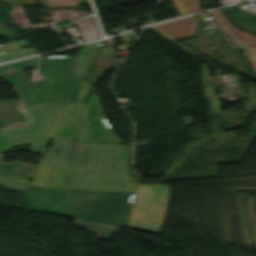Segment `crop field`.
I'll return each mask as SVG.
<instances>
[{
  "mask_svg": "<svg viewBox=\"0 0 256 256\" xmlns=\"http://www.w3.org/2000/svg\"><path fill=\"white\" fill-rule=\"evenodd\" d=\"M76 225H82L87 229L96 232L100 238L108 240L111 235L120 227L102 225L74 219ZM97 235V236H98Z\"/></svg>",
  "mask_w": 256,
  "mask_h": 256,
  "instance_id": "cbeb9de0",
  "label": "crop field"
},
{
  "mask_svg": "<svg viewBox=\"0 0 256 256\" xmlns=\"http://www.w3.org/2000/svg\"><path fill=\"white\" fill-rule=\"evenodd\" d=\"M256 1V0H255Z\"/></svg>",
  "mask_w": 256,
  "mask_h": 256,
  "instance_id": "a9b5d70f",
  "label": "crop field"
},
{
  "mask_svg": "<svg viewBox=\"0 0 256 256\" xmlns=\"http://www.w3.org/2000/svg\"><path fill=\"white\" fill-rule=\"evenodd\" d=\"M211 13L215 17L219 25L224 29V31L233 39V41L237 45H240V44L256 45V36L240 31L237 28H235L220 11H215Z\"/></svg>",
  "mask_w": 256,
  "mask_h": 256,
  "instance_id": "3316defc",
  "label": "crop field"
},
{
  "mask_svg": "<svg viewBox=\"0 0 256 256\" xmlns=\"http://www.w3.org/2000/svg\"><path fill=\"white\" fill-rule=\"evenodd\" d=\"M34 167L20 161L3 163L0 164V178L26 184Z\"/></svg>",
  "mask_w": 256,
  "mask_h": 256,
  "instance_id": "5a996713",
  "label": "crop field"
},
{
  "mask_svg": "<svg viewBox=\"0 0 256 256\" xmlns=\"http://www.w3.org/2000/svg\"><path fill=\"white\" fill-rule=\"evenodd\" d=\"M180 16L198 11L199 0H171Z\"/></svg>",
  "mask_w": 256,
  "mask_h": 256,
  "instance_id": "733c2abd",
  "label": "crop field"
},
{
  "mask_svg": "<svg viewBox=\"0 0 256 256\" xmlns=\"http://www.w3.org/2000/svg\"><path fill=\"white\" fill-rule=\"evenodd\" d=\"M170 186L139 185L128 227L160 233Z\"/></svg>",
  "mask_w": 256,
  "mask_h": 256,
  "instance_id": "f4fd0767",
  "label": "crop field"
},
{
  "mask_svg": "<svg viewBox=\"0 0 256 256\" xmlns=\"http://www.w3.org/2000/svg\"><path fill=\"white\" fill-rule=\"evenodd\" d=\"M0 185L5 186V187H9V188H13L15 190H22V191L25 188V186H23V185L7 182V181H3V180H0Z\"/></svg>",
  "mask_w": 256,
  "mask_h": 256,
  "instance_id": "214f88e0",
  "label": "crop field"
},
{
  "mask_svg": "<svg viewBox=\"0 0 256 256\" xmlns=\"http://www.w3.org/2000/svg\"><path fill=\"white\" fill-rule=\"evenodd\" d=\"M195 26L196 20L194 15L149 27L168 36L171 39H177L195 35Z\"/></svg>",
  "mask_w": 256,
  "mask_h": 256,
  "instance_id": "d8731c3e",
  "label": "crop field"
},
{
  "mask_svg": "<svg viewBox=\"0 0 256 256\" xmlns=\"http://www.w3.org/2000/svg\"><path fill=\"white\" fill-rule=\"evenodd\" d=\"M226 9L242 27L256 32V24L254 23L252 14L249 10L236 11L233 6L227 7Z\"/></svg>",
  "mask_w": 256,
  "mask_h": 256,
  "instance_id": "5142ce71",
  "label": "crop field"
},
{
  "mask_svg": "<svg viewBox=\"0 0 256 256\" xmlns=\"http://www.w3.org/2000/svg\"><path fill=\"white\" fill-rule=\"evenodd\" d=\"M71 141L53 139V146L41 156L26 185L62 188L69 167L65 188L134 191L136 182L126 166V146L74 141L67 166Z\"/></svg>",
  "mask_w": 256,
  "mask_h": 256,
  "instance_id": "8a807250",
  "label": "crop field"
},
{
  "mask_svg": "<svg viewBox=\"0 0 256 256\" xmlns=\"http://www.w3.org/2000/svg\"><path fill=\"white\" fill-rule=\"evenodd\" d=\"M75 56L39 57V81L26 80L23 72L3 75L21 92L25 108L72 98L81 79L72 77ZM23 102V103H24Z\"/></svg>",
  "mask_w": 256,
  "mask_h": 256,
  "instance_id": "ac0d7876",
  "label": "crop field"
},
{
  "mask_svg": "<svg viewBox=\"0 0 256 256\" xmlns=\"http://www.w3.org/2000/svg\"><path fill=\"white\" fill-rule=\"evenodd\" d=\"M27 108L26 115L30 123L0 132V151L22 143H33L31 150L42 154L49 143L66 107ZM1 158V155H0Z\"/></svg>",
  "mask_w": 256,
  "mask_h": 256,
  "instance_id": "412701ff",
  "label": "crop field"
},
{
  "mask_svg": "<svg viewBox=\"0 0 256 256\" xmlns=\"http://www.w3.org/2000/svg\"><path fill=\"white\" fill-rule=\"evenodd\" d=\"M100 42L85 45L78 53L75 76L82 78Z\"/></svg>",
  "mask_w": 256,
  "mask_h": 256,
  "instance_id": "28ad6ade",
  "label": "crop field"
},
{
  "mask_svg": "<svg viewBox=\"0 0 256 256\" xmlns=\"http://www.w3.org/2000/svg\"><path fill=\"white\" fill-rule=\"evenodd\" d=\"M133 194L66 189L60 215L102 224L125 225Z\"/></svg>",
  "mask_w": 256,
  "mask_h": 256,
  "instance_id": "34b2d1b8",
  "label": "crop field"
},
{
  "mask_svg": "<svg viewBox=\"0 0 256 256\" xmlns=\"http://www.w3.org/2000/svg\"><path fill=\"white\" fill-rule=\"evenodd\" d=\"M79 87H80V89H79L78 96H77L78 100L76 101V103H72V104L68 105L62 118L76 119L79 112L81 111V109L84 105L81 102L89 88V84H88V82L82 80Z\"/></svg>",
  "mask_w": 256,
  "mask_h": 256,
  "instance_id": "22f410ed",
  "label": "crop field"
},
{
  "mask_svg": "<svg viewBox=\"0 0 256 256\" xmlns=\"http://www.w3.org/2000/svg\"><path fill=\"white\" fill-rule=\"evenodd\" d=\"M28 208L38 212L59 213L62 189L26 187L23 192Z\"/></svg>",
  "mask_w": 256,
  "mask_h": 256,
  "instance_id": "e52e79f7",
  "label": "crop field"
},
{
  "mask_svg": "<svg viewBox=\"0 0 256 256\" xmlns=\"http://www.w3.org/2000/svg\"><path fill=\"white\" fill-rule=\"evenodd\" d=\"M233 1H237V0H220L221 4H225Z\"/></svg>",
  "mask_w": 256,
  "mask_h": 256,
  "instance_id": "dafd665d",
  "label": "crop field"
},
{
  "mask_svg": "<svg viewBox=\"0 0 256 256\" xmlns=\"http://www.w3.org/2000/svg\"><path fill=\"white\" fill-rule=\"evenodd\" d=\"M37 58L38 57H33V58L1 65L0 75L35 67L37 65Z\"/></svg>",
  "mask_w": 256,
  "mask_h": 256,
  "instance_id": "d9b57169",
  "label": "crop field"
},
{
  "mask_svg": "<svg viewBox=\"0 0 256 256\" xmlns=\"http://www.w3.org/2000/svg\"><path fill=\"white\" fill-rule=\"evenodd\" d=\"M97 97L98 94L92 93L80 116L85 122L76 140L121 143L105 121Z\"/></svg>",
  "mask_w": 256,
  "mask_h": 256,
  "instance_id": "dd49c442",
  "label": "crop field"
},
{
  "mask_svg": "<svg viewBox=\"0 0 256 256\" xmlns=\"http://www.w3.org/2000/svg\"><path fill=\"white\" fill-rule=\"evenodd\" d=\"M47 7L78 6L81 0H40Z\"/></svg>",
  "mask_w": 256,
  "mask_h": 256,
  "instance_id": "4a817a6b",
  "label": "crop field"
},
{
  "mask_svg": "<svg viewBox=\"0 0 256 256\" xmlns=\"http://www.w3.org/2000/svg\"><path fill=\"white\" fill-rule=\"evenodd\" d=\"M244 56L246 57V59L250 63L254 72L256 73V47L255 46H247L244 50Z\"/></svg>",
  "mask_w": 256,
  "mask_h": 256,
  "instance_id": "bc2a9ffb",
  "label": "crop field"
},
{
  "mask_svg": "<svg viewBox=\"0 0 256 256\" xmlns=\"http://www.w3.org/2000/svg\"><path fill=\"white\" fill-rule=\"evenodd\" d=\"M82 121L62 119L53 138L73 139Z\"/></svg>",
  "mask_w": 256,
  "mask_h": 256,
  "instance_id": "d1516ede",
  "label": "crop field"
},
{
  "mask_svg": "<svg viewBox=\"0 0 256 256\" xmlns=\"http://www.w3.org/2000/svg\"><path fill=\"white\" fill-rule=\"evenodd\" d=\"M66 10L71 19L86 15L85 11H78V10H73V9H66Z\"/></svg>",
  "mask_w": 256,
  "mask_h": 256,
  "instance_id": "92a150f3",
  "label": "crop field"
},
{
  "mask_svg": "<svg viewBox=\"0 0 256 256\" xmlns=\"http://www.w3.org/2000/svg\"><path fill=\"white\" fill-rule=\"evenodd\" d=\"M1 160H2V159H0V163H3Z\"/></svg>",
  "mask_w": 256,
  "mask_h": 256,
  "instance_id": "00972430",
  "label": "crop field"
}]
</instances>
